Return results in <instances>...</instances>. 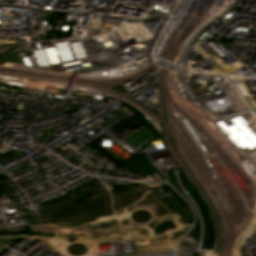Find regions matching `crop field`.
<instances>
[{"label":"crop field","mask_w":256,"mask_h":256,"mask_svg":"<svg viewBox=\"0 0 256 256\" xmlns=\"http://www.w3.org/2000/svg\"><path fill=\"white\" fill-rule=\"evenodd\" d=\"M101 183H97L85 191L79 193L69 201L62 205L49 210L41 215L31 218L33 221H37L40 224L43 223H55V222H67V221H84L96 217L103 216L112 212L111 200L106 193L93 200L91 198L82 201L81 203L74 205L73 202L83 197L85 194L101 187Z\"/></svg>","instance_id":"8a807250"},{"label":"crop field","mask_w":256,"mask_h":256,"mask_svg":"<svg viewBox=\"0 0 256 256\" xmlns=\"http://www.w3.org/2000/svg\"><path fill=\"white\" fill-rule=\"evenodd\" d=\"M144 186L145 185H140L139 189H136L135 187H129L124 191L112 194L113 202L116 203V205L113 206L114 211L122 208L123 206L133 201L138 194L143 192Z\"/></svg>","instance_id":"ac0d7876"},{"label":"crop field","mask_w":256,"mask_h":256,"mask_svg":"<svg viewBox=\"0 0 256 256\" xmlns=\"http://www.w3.org/2000/svg\"><path fill=\"white\" fill-rule=\"evenodd\" d=\"M118 163L123 162L126 166H128L136 175L141 176L142 178H145L149 176L148 174L140 164L135 162L134 160H122V159H117L116 160Z\"/></svg>","instance_id":"34b2d1b8"}]
</instances>
